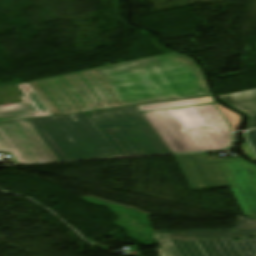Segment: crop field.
Masks as SVG:
<instances>
[{"label": "crop field", "instance_id": "obj_9", "mask_svg": "<svg viewBox=\"0 0 256 256\" xmlns=\"http://www.w3.org/2000/svg\"><path fill=\"white\" fill-rule=\"evenodd\" d=\"M101 132L121 156L146 155L139 144L131 138L132 136L125 129Z\"/></svg>", "mask_w": 256, "mask_h": 256}, {"label": "crop field", "instance_id": "obj_14", "mask_svg": "<svg viewBox=\"0 0 256 256\" xmlns=\"http://www.w3.org/2000/svg\"><path fill=\"white\" fill-rule=\"evenodd\" d=\"M247 138L256 151V130L247 133Z\"/></svg>", "mask_w": 256, "mask_h": 256}, {"label": "crop field", "instance_id": "obj_13", "mask_svg": "<svg viewBox=\"0 0 256 256\" xmlns=\"http://www.w3.org/2000/svg\"><path fill=\"white\" fill-rule=\"evenodd\" d=\"M242 151L254 162H256V156L254 155L251 147L247 144L241 145Z\"/></svg>", "mask_w": 256, "mask_h": 256}, {"label": "crop field", "instance_id": "obj_8", "mask_svg": "<svg viewBox=\"0 0 256 256\" xmlns=\"http://www.w3.org/2000/svg\"><path fill=\"white\" fill-rule=\"evenodd\" d=\"M27 97H21L24 103L0 107V122L29 118L51 116L32 87L27 84L19 85Z\"/></svg>", "mask_w": 256, "mask_h": 256}, {"label": "crop field", "instance_id": "obj_4", "mask_svg": "<svg viewBox=\"0 0 256 256\" xmlns=\"http://www.w3.org/2000/svg\"><path fill=\"white\" fill-rule=\"evenodd\" d=\"M28 121L60 161L120 156L86 113Z\"/></svg>", "mask_w": 256, "mask_h": 256}, {"label": "crop field", "instance_id": "obj_2", "mask_svg": "<svg viewBox=\"0 0 256 256\" xmlns=\"http://www.w3.org/2000/svg\"><path fill=\"white\" fill-rule=\"evenodd\" d=\"M142 114L172 153L224 150L233 143L227 123L213 104Z\"/></svg>", "mask_w": 256, "mask_h": 256}, {"label": "crop field", "instance_id": "obj_10", "mask_svg": "<svg viewBox=\"0 0 256 256\" xmlns=\"http://www.w3.org/2000/svg\"><path fill=\"white\" fill-rule=\"evenodd\" d=\"M224 100L228 104L250 114L251 120L248 129L256 128V90L230 95Z\"/></svg>", "mask_w": 256, "mask_h": 256}, {"label": "crop field", "instance_id": "obj_11", "mask_svg": "<svg viewBox=\"0 0 256 256\" xmlns=\"http://www.w3.org/2000/svg\"><path fill=\"white\" fill-rule=\"evenodd\" d=\"M213 102H216V100L213 98V96H209V97H201V98H195V99L139 105V106H137V108L140 110V112H144V111L208 104V103H213Z\"/></svg>", "mask_w": 256, "mask_h": 256}, {"label": "crop field", "instance_id": "obj_7", "mask_svg": "<svg viewBox=\"0 0 256 256\" xmlns=\"http://www.w3.org/2000/svg\"><path fill=\"white\" fill-rule=\"evenodd\" d=\"M0 151L15 163L58 161L27 120L0 124Z\"/></svg>", "mask_w": 256, "mask_h": 256}, {"label": "crop field", "instance_id": "obj_6", "mask_svg": "<svg viewBox=\"0 0 256 256\" xmlns=\"http://www.w3.org/2000/svg\"><path fill=\"white\" fill-rule=\"evenodd\" d=\"M91 119L100 130L125 127L147 155L171 153L136 106L94 111Z\"/></svg>", "mask_w": 256, "mask_h": 256}, {"label": "crop field", "instance_id": "obj_3", "mask_svg": "<svg viewBox=\"0 0 256 256\" xmlns=\"http://www.w3.org/2000/svg\"><path fill=\"white\" fill-rule=\"evenodd\" d=\"M175 157L193 190L229 187L244 216L256 219V166L242 159L209 161L199 154Z\"/></svg>", "mask_w": 256, "mask_h": 256}, {"label": "crop field", "instance_id": "obj_1", "mask_svg": "<svg viewBox=\"0 0 256 256\" xmlns=\"http://www.w3.org/2000/svg\"><path fill=\"white\" fill-rule=\"evenodd\" d=\"M36 83L51 103L35 82H31L30 85L52 115L101 110L97 102L103 109H108L209 95L208 87L194 61L176 53L36 81Z\"/></svg>", "mask_w": 256, "mask_h": 256}, {"label": "crop field", "instance_id": "obj_5", "mask_svg": "<svg viewBox=\"0 0 256 256\" xmlns=\"http://www.w3.org/2000/svg\"><path fill=\"white\" fill-rule=\"evenodd\" d=\"M161 256H256V220L238 217L234 230L154 232Z\"/></svg>", "mask_w": 256, "mask_h": 256}, {"label": "crop field", "instance_id": "obj_12", "mask_svg": "<svg viewBox=\"0 0 256 256\" xmlns=\"http://www.w3.org/2000/svg\"><path fill=\"white\" fill-rule=\"evenodd\" d=\"M216 104L220 108V110L223 112V114L226 116V118L229 120V122L232 124V126L234 127V130H236L241 117L238 114L224 108L220 104L218 103Z\"/></svg>", "mask_w": 256, "mask_h": 256}]
</instances>
